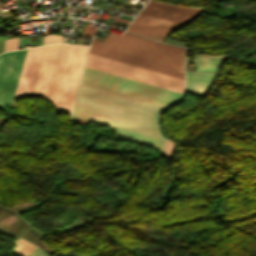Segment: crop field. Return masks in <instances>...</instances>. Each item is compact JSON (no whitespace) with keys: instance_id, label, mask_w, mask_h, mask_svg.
<instances>
[{"instance_id":"1","label":"crop field","mask_w":256,"mask_h":256,"mask_svg":"<svg viewBox=\"0 0 256 256\" xmlns=\"http://www.w3.org/2000/svg\"><path fill=\"white\" fill-rule=\"evenodd\" d=\"M164 108L81 85L72 116L162 139L157 117Z\"/></svg>"},{"instance_id":"2","label":"crop field","mask_w":256,"mask_h":256,"mask_svg":"<svg viewBox=\"0 0 256 256\" xmlns=\"http://www.w3.org/2000/svg\"><path fill=\"white\" fill-rule=\"evenodd\" d=\"M186 50L111 31L104 42L94 39L89 53L184 79Z\"/></svg>"},{"instance_id":"3","label":"crop field","mask_w":256,"mask_h":256,"mask_svg":"<svg viewBox=\"0 0 256 256\" xmlns=\"http://www.w3.org/2000/svg\"><path fill=\"white\" fill-rule=\"evenodd\" d=\"M81 84L165 107L179 102L183 95L86 67Z\"/></svg>"},{"instance_id":"4","label":"crop field","mask_w":256,"mask_h":256,"mask_svg":"<svg viewBox=\"0 0 256 256\" xmlns=\"http://www.w3.org/2000/svg\"><path fill=\"white\" fill-rule=\"evenodd\" d=\"M86 67L171 89L174 91H184V80L172 76L160 74L124 63L112 61L94 55H88Z\"/></svg>"},{"instance_id":"5","label":"crop field","mask_w":256,"mask_h":256,"mask_svg":"<svg viewBox=\"0 0 256 256\" xmlns=\"http://www.w3.org/2000/svg\"><path fill=\"white\" fill-rule=\"evenodd\" d=\"M26 50L6 52L0 55V107L14 99Z\"/></svg>"},{"instance_id":"6","label":"crop field","mask_w":256,"mask_h":256,"mask_svg":"<svg viewBox=\"0 0 256 256\" xmlns=\"http://www.w3.org/2000/svg\"><path fill=\"white\" fill-rule=\"evenodd\" d=\"M183 25L140 12L126 31L161 41L166 35Z\"/></svg>"},{"instance_id":"7","label":"crop field","mask_w":256,"mask_h":256,"mask_svg":"<svg viewBox=\"0 0 256 256\" xmlns=\"http://www.w3.org/2000/svg\"><path fill=\"white\" fill-rule=\"evenodd\" d=\"M203 10V7H184L158 0H150L142 12L186 24L201 14Z\"/></svg>"},{"instance_id":"8","label":"crop field","mask_w":256,"mask_h":256,"mask_svg":"<svg viewBox=\"0 0 256 256\" xmlns=\"http://www.w3.org/2000/svg\"><path fill=\"white\" fill-rule=\"evenodd\" d=\"M40 48H31L27 50L24 66L22 69L20 81L18 84L15 100L28 95L31 80L37 63ZM14 100V99H13Z\"/></svg>"},{"instance_id":"9","label":"crop field","mask_w":256,"mask_h":256,"mask_svg":"<svg viewBox=\"0 0 256 256\" xmlns=\"http://www.w3.org/2000/svg\"><path fill=\"white\" fill-rule=\"evenodd\" d=\"M218 74L186 71V92L204 98Z\"/></svg>"},{"instance_id":"10","label":"crop field","mask_w":256,"mask_h":256,"mask_svg":"<svg viewBox=\"0 0 256 256\" xmlns=\"http://www.w3.org/2000/svg\"><path fill=\"white\" fill-rule=\"evenodd\" d=\"M228 56L195 54L196 70L218 72ZM220 71V70H219Z\"/></svg>"},{"instance_id":"11","label":"crop field","mask_w":256,"mask_h":256,"mask_svg":"<svg viewBox=\"0 0 256 256\" xmlns=\"http://www.w3.org/2000/svg\"><path fill=\"white\" fill-rule=\"evenodd\" d=\"M117 138L134 141L163 150V141L118 129Z\"/></svg>"},{"instance_id":"12","label":"crop field","mask_w":256,"mask_h":256,"mask_svg":"<svg viewBox=\"0 0 256 256\" xmlns=\"http://www.w3.org/2000/svg\"><path fill=\"white\" fill-rule=\"evenodd\" d=\"M14 243L17 245L12 251V254L17 256H26L37 247L21 238L17 239Z\"/></svg>"},{"instance_id":"13","label":"crop field","mask_w":256,"mask_h":256,"mask_svg":"<svg viewBox=\"0 0 256 256\" xmlns=\"http://www.w3.org/2000/svg\"><path fill=\"white\" fill-rule=\"evenodd\" d=\"M97 30L98 29H96V28L85 26V28L82 32V35L88 36V37H93V35L96 33Z\"/></svg>"},{"instance_id":"14","label":"crop field","mask_w":256,"mask_h":256,"mask_svg":"<svg viewBox=\"0 0 256 256\" xmlns=\"http://www.w3.org/2000/svg\"><path fill=\"white\" fill-rule=\"evenodd\" d=\"M28 256H48V255L44 251H42L40 248L37 247Z\"/></svg>"},{"instance_id":"15","label":"crop field","mask_w":256,"mask_h":256,"mask_svg":"<svg viewBox=\"0 0 256 256\" xmlns=\"http://www.w3.org/2000/svg\"><path fill=\"white\" fill-rule=\"evenodd\" d=\"M18 49V37L12 39V50Z\"/></svg>"},{"instance_id":"16","label":"crop field","mask_w":256,"mask_h":256,"mask_svg":"<svg viewBox=\"0 0 256 256\" xmlns=\"http://www.w3.org/2000/svg\"><path fill=\"white\" fill-rule=\"evenodd\" d=\"M112 20H116V21H120V22H124V23H128L129 24V20H125V19H120V18H116V17H113Z\"/></svg>"},{"instance_id":"17","label":"crop field","mask_w":256,"mask_h":256,"mask_svg":"<svg viewBox=\"0 0 256 256\" xmlns=\"http://www.w3.org/2000/svg\"><path fill=\"white\" fill-rule=\"evenodd\" d=\"M77 123H85V121H81V120H77V119H76V124H77Z\"/></svg>"},{"instance_id":"18","label":"crop field","mask_w":256,"mask_h":256,"mask_svg":"<svg viewBox=\"0 0 256 256\" xmlns=\"http://www.w3.org/2000/svg\"><path fill=\"white\" fill-rule=\"evenodd\" d=\"M1 162V161H0Z\"/></svg>"}]
</instances>
